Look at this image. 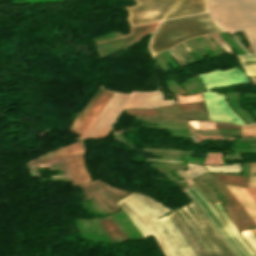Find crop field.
Returning a JSON list of instances; mask_svg holds the SVG:
<instances>
[{"instance_id":"obj_1","label":"crop field","mask_w":256,"mask_h":256,"mask_svg":"<svg viewBox=\"0 0 256 256\" xmlns=\"http://www.w3.org/2000/svg\"><path fill=\"white\" fill-rule=\"evenodd\" d=\"M116 204L121 206L143 236L153 234L166 256H196L170 220H156L171 209L149 197L132 193Z\"/></svg>"},{"instance_id":"obj_2","label":"crop field","mask_w":256,"mask_h":256,"mask_svg":"<svg viewBox=\"0 0 256 256\" xmlns=\"http://www.w3.org/2000/svg\"><path fill=\"white\" fill-rule=\"evenodd\" d=\"M189 208L195 214L200 223L195 219L189 209L185 206L181 207L184 212L190 217V219L194 222L200 232L203 234L205 239L211 245V247L207 244V242L201 237L198 230L192 224V222L188 219V217L182 212L180 208L176 209L180 216L183 218L187 226L190 228L192 233L195 235L197 240L200 242L201 246L194 236L191 234L189 229L186 227L184 222L181 220L176 211L167 215L192 250L195 252L197 256H233V254L229 251V249L225 246V244L221 241V239L217 236V234L213 231V229L209 226V224L205 221L193 203L188 204Z\"/></svg>"},{"instance_id":"obj_3","label":"crop field","mask_w":256,"mask_h":256,"mask_svg":"<svg viewBox=\"0 0 256 256\" xmlns=\"http://www.w3.org/2000/svg\"><path fill=\"white\" fill-rule=\"evenodd\" d=\"M223 31L209 14H198L162 21L156 30L150 51L155 55L187 38Z\"/></svg>"},{"instance_id":"obj_4","label":"crop field","mask_w":256,"mask_h":256,"mask_svg":"<svg viewBox=\"0 0 256 256\" xmlns=\"http://www.w3.org/2000/svg\"><path fill=\"white\" fill-rule=\"evenodd\" d=\"M209 12L228 32L244 30L256 53V0H208Z\"/></svg>"},{"instance_id":"obj_5","label":"crop field","mask_w":256,"mask_h":256,"mask_svg":"<svg viewBox=\"0 0 256 256\" xmlns=\"http://www.w3.org/2000/svg\"><path fill=\"white\" fill-rule=\"evenodd\" d=\"M136 3L124 7L130 26L207 11L206 0H141Z\"/></svg>"},{"instance_id":"obj_6","label":"crop field","mask_w":256,"mask_h":256,"mask_svg":"<svg viewBox=\"0 0 256 256\" xmlns=\"http://www.w3.org/2000/svg\"><path fill=\"white\" fill-rule=\"evenodd\" d=\"M198 76L208 90V92H204L202 95L205 106L208 109L209 120L228 121L234 124L244 125V122L228 107L224 96L210 92L209 89L218 86L250 83L246 76L237 68L225 71L215 70L207 74H199Z\"/></svg>"},{"instance_id":"obj_7","label":"crop field","mask_w":256,"mask_h":256,"mask_svg":"<svg viewBox=\"0 0 256 256\" xmlns=\"http://www.w3.org/2000/svg\"><path fill=\"white\" fill-rule=\"evenodd\" d=\"M193 187L192 185L186 189H184V192L187 191ZM191 200L194 202V204L197 206V208L200 210V212L204 215V217L208 220V222L213 226V228L218 232V234L223 238V240L228 244V246L233 250V252L237 256H251L255 254L253 249L248 245V243L242 238V236L239 234L236 227L233 225V223L230 221L228 215L226 214L221 202L215 204V207L219 211V213L222 215L226 225L231 230L232 233L229 231V229L226 227L224 222L221 220L219 215L216 213V211L213 209V207L207 202V200L193 187L187 192H185ZM256 256V255H254Z\"/></svg>"},{"instance_id":"obj_8","label":"crop field","mask_w":256,"mask_h":256,"mask_svg":"<svg viewBox=\"0 0 256 256\" xmlns=\"http://www.w3.org/2000/svg\"><path fill=\"white\" fill-rule=\"evenodd\" d=\"M129 96L130 95H121L111 92L82 137L104 136L108 132Z\"/></svg>"},{"instance_id":"obj_9","label":"crop field","mask_w":256,"mask_h":256,"mask_svg":"<svg viewBox=\"0 0 256 256\" xmlns=\"http://www.w3.org/2000/svg\"><path fill=\"white\" fill-rule=\"evenodd\" d=\"M175 104L173 99L164 100L161 91L153 93H135L127 102L125 108L158 107Z\"/></svg>"},{"instance_id":"obj_10","label":"crop field","mask_w":256,"mask_h":256,"mask_svg":"<svg viewBox=\"0 0 256 256\" xmlns=\"http://www.w3.org/2000/svg\"><path fill=\"white\" fill-rule=\"evenodd\" d=\"M227 188L236 197V199L240 202V204L245 208V210L250 214L256 223V203L251 199L245 189L232 186H227ZM250 231L256 238V229H252Z\"/></svg>"},{"instance_id":"obj_11","label":"crop field","mask_w":256,"mask_h":256,"mask_svg":"<svg viewBox=\"0 0 256 256\" xmlns=\"http://www.w3.org/2000/svg\"><path fill=\"white\" fill-rule=\"evenodd\" d=\"M209 172H241V164L210 167L205 166Z\"/></svg>"},{"instance_id":"obj_12","label":"crop field","mask_w":256,"mask_h":256,"mask_svg":"<svg viewBox=\"0 0 256 256\" xmlns=\"http://www.w3.org/2000/svg\"><path fill=\"white\" fill-rule=\"evenodd\" d=\"M251 57H256V55H250V56H244L243 59L245 58H251ZM243 69L246 71L248 75H256V64H250V63H256V61H249V60H256V58H251V59H245L244 61H249L245 62L246 64L250 65H245L244 62L242 61L241 57H238Z\"/></svg>"},{"instance_id":"obj_13","label":"crop field","mask_w":256,"mask_h":256,"mask_svg":"<svg viewBox=\"0 0 256 256\" xmlns=\"http://www.w3.org/2000/svg\"><path fill=\"white\" fill-rule=\"evenodd\" d=\"M188 165V169L185 171L191 178H194L204 172H206V170L204 169L203 166L199 165V164H187Z\"/></svg>"},{"instance_id":"obj_14","label":"crop field","mask_w":256,"mask_h":256,"mask_svg":"<svg viewBox=\"0 0 256 256\" xmlns=\"http://www.w3.org/2000/svg\"><path fill=\"white\" fill-rule=\"evenodd\" d=\"M249 187L256 188V163H250Z\"/></svg>"},{"instance_id":"obj_15","label":"crop field","mask_w":256,"mask_h":256,"mask_svg":"<svg viewBox=\"0 0 256 256\" xmlns=\"http://www.w3.org/2000/svg\"><path fill=\"white\" fill-rule=\"evenodd\" d=\"M242 136H256V124L242 126Z\"/></svg>"},{"instance_id":"obj_16","label":"crop field","mask_w":256,"mask_h":256,"mask_svg":"<svg viewBox=\"0 0 256 256\" xmlns=\"http://www.w3.org/2000/svg\"><path fill=\"white\" fill-rule=\"evenodd\" d=\"M244 237L247 239V241L250 243V245L254 248L256 251V239L253 237V235L250 233L249 230L241 232Z\"/></svg>"},{"instance_id":"obj_17","label":"crop field","mask_w":256,"mask_h":256,"mask_svg":"<svg viewBox=\"0 0 256 256\" xmlns=\"http://www.w3.org/2000/svg\"><path fill=\"white\" fill-rule=\"evenodd\" d=\"M245 189L256 202V189H248V188H245Z\"/></svg>"},{"instance_id":"obj_18","label":"crop field","mask_w":256,"mask_h":256,"mask_svg":"<svg viewBox=\"0 0 256 256\" xmlns=\"http://www.w3.org/2000/svg\"><path fill=\"white\" fill-rule=\"evenodd\" d=\"M252 81H256V77H250Z\"/></svg>"},{"instance_id":"obj_19","label":"crop field","mask_w":256,"mask_h":256,"mask_svg":"<svg viewBox=\"0 0 256 256\" xmlns=\"http://www.w3.org/2000/svg\"><path fill=\"white\" fill-rule=\"evenodd\" d=\"M133 1H136V0H133Z\"/></svg>"}]
</instances>
